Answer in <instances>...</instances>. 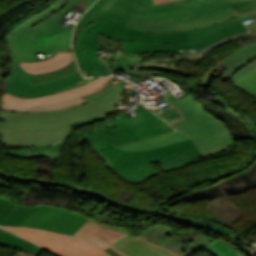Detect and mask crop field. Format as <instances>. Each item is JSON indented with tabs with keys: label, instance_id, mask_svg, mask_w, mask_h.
Segmentation results:
<instances>
[{
	"label": "crop field",
	"instance_id": "8a807250",
	"mask_svg": "<svg viewBox=\"0 0 256 256\" xmlns=\"http://www.w3.org/2000/svg\"><path fill=\"white\" fill-rule=\"evenodd\" d=\"M124 89L109 85L86 97L89 103L51 113H8L0 110V142L17 146H36L58 141L72 131L73 125L116 113L114 107L124 97Z\"/></svg>",
	"mask_w": 256,
	"mask_h": 256
},
{
	"label": "crop field",
	"instance_id": "ac0d7876",
	"mask_svg": "<svg viewBox=\"0 0 256 256\" xmlns=\"http://www.w3.org/2000/svg\"><path fill=\"white\" fill-rule=\"evenodd\" d=\"M93 30L110 38L122 40V48L125 53H141L153 51L178 52L179 49L191 48L199 50L226 36L246 31L247 29L239 18H235L201 29L164 34H150L133 28H128L111 17Z\"/></svg>",
	"mask_w": 256,
	"mask_h": 256
},
{
	"label": "crop field",
	"instance_id": "34b2d1b8",
	"mask_svg": "<svg viewBox=\"0 0 256 256\" xmlns=\"http://www.w3.org/2000/svg\"><path fill=\"white\" fill-rule=\"evenodd\" d=\"M103 152L118 159L111 170L133 183L143 182L148 177L158 174L150 163L160 161L166 172L204 160L192 140L151 150L128 152L113 148Z\"/></svg>",
	"mask_w": 256,
	"mask_h": 256
},
{
	"label": "crop field",
	"instance_id": "412701ff",
	"mask_svg": "<svg viewBox=\"0 0 256 256\" xmlns=\"http://www.w3.org/2000/svg\"><path fill=\"white\" fill-rule=\"evenodd\" d=\"M168 104L183 117L169 124L187 133L199 148L202 156L222 152L232 145L233 139L228 127L217 120L192 96Z\"/></svg>",
	"mask_w": 256,
	"mask_h": 256
},
{
	"label": "crop field",
	"instance_id": "f4fd0767",
	"mask_svg": "<svg viewBox=\"0 0 256 256\" xmlns=\"http://www.w3.org/2000/svg\"><path fill=\"white\" fill-rule=\"evenodd\" d=\"M95 1L69 0L61 11L24 32L18 39L20 62L37 61L34 54L39 52L67 50L70 47L72 29L57 25L58 19L77 7L87 10Z\"/></svg>",
	"mask_w": 256,
	"mask_h": 256
},
{
	"label": "crop field",
	"instance_id": "dd49c442",
	"mask_svg": "<svg viewBox=\"0 0 256 256\" xmlns=\"http://www.w3.org/2000/svg\"><path fill=\"white\" fill-rule=\"evenodd\" d=\"M135 15L153 20H183L217 12L229 5L225 0H182L155 5L149 0H105Z\"/></svg>",
	"mask_w": 256,
	"mask_h": 256
},
{
	"label": "crop field",
	"instance_id": "e52e79f7",
	"mask_svg": "<svg viewBox=\"0 0 256 256\" xmlns=\"http://www.w3.org/2000/svg\"><path fill=\"white\" fill-rule=\"evenodd\" d=\"M140 118H142L146 123L153 127L161 135L152 138L142 140L123 120L110 119L117 132L118 144L120 149L135 151L150 149L158 146H163L175 142H180L190 139L188 136L181 132L175 131L168 124L162 121L155 114L142 106L140 108L134 109Z\"/></svg>",
	"mask_w": 256,
	"mask_h": 256
},
{
	"label": "crop field",
	"instance_id": "d8731c3e",
	"mask_svg": "<svg viewBox=\"0 0 256 256\" xmlns=\"http://www.w3.org/2000/svg\"><path fill=\"white\" fill-rule=\"evenodd\" d=\"M0 227L39 244L57 256H109L98 247L79 238L33 228Z\"/></svg>",
	"mask_w": 256,
	"mask_h": 256
},
{
	"label": "crop field",
	"instance_id": "5a996713",
	"mask_svg": "<svg viewBox=\"0 0 256 256\" xmlns=\"http://www.w3.org/2000/svg\"><path fill=\"white\" fill-rule=\"evenodd\" d=\"M109 15L96 20L94 23L82 28L77 36L75 45V55L79 65L87 72L88 75L93 74L94 77L101 75H110L107 65L96 56V46L116 45L121 47V41L109 39L91 29L100 25Z\"/></svg>",
	"mask_w": 256,
	"mask_h": 256
},
{
	"label": "crop field",
	"instance_id": "3316defc",
	"mask_svg": "<svg viewBox=\"0 0 256 256\" xmlns=\"http://www.w3.org/2000/svg\"><path fill=\"white\" fill-rule=\"evenodd\" d=\"M31 77L32 75L22 70L18 63H13L6 82L7 92L23 98L45 96L77 87L74 83L84 79L78 72L60 80L30 85Z\"/></svg>",
	"mask_w": 256,
	"mask_h": 256
},
{
	"label": "crop field",
	"instance_id": "28ad6ade",
	"mask_svg": "<svg viewBox=\"0 0 256 256\" xmlns=\"http://www.w3.org/2000/svg\"><path fill=\"white\" fill-rule=\"evenodd\" d=\"M251 35H256V32L249 33ZM249 34H241L237 35L233 38H230L228 40H225L219 44H215L211 46L210 48L203 50L197 54L189 55V56H179V58H189V59H195L200 60L203 59V54L216 49L234 39L249 35ZM256 41V40H255ZM256 58V42L249 43L245 46L240 47L235 52L231 53L230 55L226 56L225 58H221L222 60L216 61L217 63L211 65L208 67V70H210L205 76L203 75L201 78H197L198 80H201L205 83L210 84L212 77L214 75L220 74L223 72V75L221 77V80L227 81L231 78V76L236 73L238 70H240L242 67H244L246 64H248L250 61ZM205 71V72H206Z\"/></svg>",
	"mask_w": 256,
	"mask_h": 256
},
{
	"label": "crop field",
	"instance_id": "d1516ede",
	"mask_svg": "<svg viewBox=\"0 0 256 256\" xmlns=\"http://www.w3.org/2000/svg\"><path fill=\"white\" fill-rule=\"evenodd\" d=\"M88 219L89 217L68 210L40 205L20 226L72 235Z\"/></svg>",
	"mask_w": 256,
	"mask_h": 256
},
{
	"label": "crop field",
	"instance_id": "22f410ed",
	"mask_svg": "<svg viewBox=\"0 0 256 256\" xmlns=\"http://www.w3.org/2000/svg\"><path fill=\"white\" fill-rule=\"evenodd\" d=\"M139 236L149 239L180 256H191L213 242L211 239H207L201 235L196 239H190L178 233L175 234L171 228L162 225L150 227Z\"/></svg>",
	"mask_w": 256,
	"mask_h": 256
},
{
	"label": "crop field",
	"instance_id": "cbeb9de0",
	"mask_svg": "<svg viewBox=\"0 0 256 256\" xmlns=\"http://www.w3.org/2000/svg\"><path fill=\"white\" fill-rule=\"evenodd\" d=\"M73 236L95 243L111 256H131L114 244L132 237L128 232L94 219L88 220Z\"/></svg>",
	"mask_w": 256,
	"mask_h": 256
},
{
	"label": "crop field",
	"instance_id": "5142ce71",
	"mask_svg": "<svg viewBox=\"0 0 256 256\" xmlns=\"http://www.w3.org/2000/svg\"><path fill=\"white\" fill-rule=\"evenodd\" d=\"M110 78L111 77L98 78V79L93 80V81L89 82L88 84L81 86L79 88H74V89H70L68 91L52 94L50 96L33 98V99H23V98L16 97V96L6 93L2 96V100L12 103L14 105H20V106L45 105V104L72 98V97L79 96L84 93L90 92V91L102 86L103 84L107 83Z\"/></svg>",
	"mask_w": 256,
	"mask_h": 256
},
{
	"label": "crop field",
	"instance_id": "d9b57169",
	"mask_svg": "<svg viewBox=\"0 0 256 256\" xmlns=\"http://www.w3.org/2000/svg\"><path fill=\"white\" fill-rule=\"evenodd\" d=\"M85 139L88 140L91 148L105 160L106 167L111 168L116 160L109 158L101 150L118 146L114 125L107 121L78 141Z\"/></svg>",
	"mask_w": 256,
	"mask_h": 256
},
{
	"label": "crop field",
	"instance_id": "733c2abd",
	"mask_svg": "<svg viewBox=\"0 0 256 256\" xmlns=\"http://www.w3.org/2000/svg\"><path fill=\"white\" fill-rule=\"evenodd\" d=\"M96 4L106 7L110 10H113L119 13L121 16L129 19L130 21L125 24L126 26H129V27L145 30L150 33L179 31L176 21L162 22V21L142 19L102 0H97Z\"/></svg>",
	"mask_w": 256,
	"mask_h": 256
},
{
	"label": "crop field",
	"instance_id": "4a817a6b",
	"mask_svg": "<svg viewBox=\"0 0 256 256\" xmlns=\"http://www.w3.org/2000/svg\"><path fill=\"white\" fill-rule=\"evenodd\" d=\"M66 2H67V0H60L54 6H52L50 9L46 10L43 13H39L38 15L34 16L33 18H31L29 20L24 21L22 24H20L14 30H12L11 32L8 33V35L6 36V43L10 50L12 62H19L18 48H17L18 37L27 29L31 28L32 26L36 25L40 21L44 20L45 18H47L50 15L61 10L65 6Z\"/></svg>",
	"mask_w": 256,
	"mask_h": 256
},
{
	"label": "crop field",
	"instance_id": "bc2a9ffb",
	"mask_svg": "<svg viewBox=\"0 0 256 256\" xmlns=\"http://www.w3.org/2000/svg\"><path fill=\"white\" fill-rule=\"evenodd\" d=\"M116 245L133 256H178L139 236L122 241Z\"/></svg>",
	"mask_w": 256,
	"mask_h": 256
},
{
	"label": "crop field",
	"instance_id": "214f88e0",
	"mask_svg": "<svg viewBox=\"0 0 256 256\" xmlns=\"http://www.w3.org/2000/svg\"><path fill=\"white\" fill-rule=\"evenodd\" d=\"M115 78L116 77H112L107 84L103 85L102 87H100L90 93H87L85 95H82V96H79L76 98H72L69 100H65V101H61V102H57V103H53V104H49V105H45V106H40V107H19V106H14L12 104H9V103H6V102H3L0 100V108L14 110L17 112H51V111H55V110H59V109H64V108H68V107H72V106L85 104V103H87V101L84 97L104 89Z\"/></svg>",
	"mask_w": 256,
	"mask_h": 256
},
{
	"label": "crop field",
	"instance_id": "92a150f3",
	"mask_svg": "<svg viewBox=\"0 0 256 256\" xmlns=\"http://www.w3.org/2000/svg\"><path fill=\"white\" fill-rule=\"evenodd\" d=\"M1 196L0 224L19 226L37 207L31 205H16Z\"/></svg>",
	"mask_w": 256,
	"mask_h": 256
},
{
	"label": "crop field",
	"instance_id": "dafd665d",
	"mask_svg": "<svg viewBox=\"0 0 256 256\" xmlns=\"http://www.w3.org/2000/svg\"><path fill=\"white\" fill-rule=\"evenodd\" d=\"M235 17H238V16L236 15V13L233 11L232 8H229L228 10L226 9L217 13L201 16L198 18L190 19V20L177 21V22H178L179 30L182 31V30L201 28L204 26L217 24Z\"/></svg>",
	"mask_w": 256,
	"mask_h": 256
},
{
	"label": "crop field",
	"instance_id": "00972430",
	"mask_svg": "<svg viewBox=\"0 0 256 256\" xmlns=\"http://www.w3.org/2000/svg\"><path fill=\"white\" fill-rule=\"evenodd\" d=\"M66 139L55 142L49 145H44L35 148L29 149H22L16 151H3L4 154L15 156V157H22V158H33V157H47L53 160H59L61 155V148L63 143Z\"/></svg>",
	"mask_w": 256,
	"mask_h": 256
},
{
	"label": "crop field",
	"instance_id": "a9b5d70f",
	"mask_svg": "<svg viewBox=\"0 0 256 256\" xmlns=\"http://www.w3.org/2000/svg\"><path fill=\"white\" fill-rule=\"evenodd\" d=\"M74 58L73 53H57L54 57L42 62L20 63L22 69L29 73H41L65 66Z\"/></svg>",
	"mask_w": 256,
	"mask_h": 256
},
{
	"label": "crop field",
	"instance_id": "4177f3b9",
	"mask_svg": "<svg viewBox=\"0 0 256 256\" xmlns=\"http://www.w3.org/2000/svg\"><path fill=\"white\" fill-rule=\"evenodd\" d=\"M179 61L171 60V56H159L143 61L138 67L166 71L172 73H179L187 78L191 77L193 73H186L176 69Z\"/></svg>",
	"mask_w": 256,
	"mask_h": 256
},
{
	"label": "crop field",
	"instance_id": "730fd06b",
	"mask_svg": "<svg viewBox=\"0 0 256 256\" xmlns=\"http://www.w3.org/2000/svg\"><path fill=\"white\" fill-rule=\"evenodd\" d=\"M0 246L23 249L37 254L44 251V249L2 229H0Z\"/></svg>",
	"mask_w": 256,
	"mask_h": 256
},
{
	"label": "crop field",
	"instance_id": "eef30255",
	"mask_svg": "<svg viewBox=\"0 0 256 256\" xmlns=\"http://www.w3.org/2000/svg\"><path fill=\"white\" fill-rule=\"evenodd\" d=\"M78 71L79 70H78L76 61H75V59H73L68 65H66L65 67H63L59 70L33 75L31 84H36V83H40V82H46V81L63 78L65 76L76 73Z\"/></svg>",
	"mask_w": 256,
	"mask_h": 256
},
{
	"label": "crop field",
	"instance_id": "ae1a2a85",
	"mask_svg": "<svg viewBox=\"0 0 256 256\" xmlns=\"http://www.w3.org/2000/svg\"><path fill=\"white\" fill-rule=\"evenodd\" d=\"M0 176L5 177L7 179H13L15 181L32 182V183H36V184H40V185L46 184V185H52V186H63V187H67L69 189H73V190H75L77 192H81V193H85V194H91V195L98 196L100 198H104L105 201L110 202V203H112L114 205H116L118 203L117 201H113V200L109 199L108 197H106L105 195L100 194V193H98V192H96V191H94L92 189H86V188L79 187V186L73 187V186H70V185L60 184V183H53V182H44V181H38V180L23 179V178H19V177L8 175V174L3 173L1 171H0Z\"/></svg>",
	"mask_w": 256,
	"mask_h": 256
},
{
	"label": "crop field",
	"instance_id": "d3111659",
	"mask_svg": "<svg viewBox=\"0 0 256 256\" xmlns=\"http://www.w3.org/2000/svg\"><path fill=\"white\" fill-rule=\"evenodd\" d=\"M244 21L256 17V0H228Z\"/></svg>",
	"mask_w": 256,
	"mask_h": 256
},
{
	"label": "crop field",
	"instance_id": "750c4746",
	"mask_svg": "<svg viewBox=\"0 0 256 256\" xmlns=\"http://www.w3.org/2000/svg\"><path fill=\"white\" fill-rule=\"evenodd\" d=\"M119 117L123 119L142 139L159 135V133H157L139 117L133 121L123 113L119 115Z\"/></svg>",
	"mask_w": 256,
	"mask_h": 256
},
{
	"label": "crop field",
	"instance_id": "bd1437ed",
	"mask_svg": "<svg viewBox=\"0 0 256 256\" xmlns=\"http://www.w3.org/2000/svg\"><path fill=\"white\" fill-rule=\"evenodd\" d=\"M215 256H236L235 247L225 241L218 240L203 248Z\"/></svg>",
	"mask_w": 256,
	"mask_h": 256
},
{
	"label": "crop field",
	"instance_id": "1d83c4d3",
	"mask_svg": "<svg viewBox=\"0 0 256 256\" xmlns=\"http://www.w3.org/2000/svg\"><path fill=\"white\" fill-rule=\"evenodd\" d=\"M254 75H256V59L234 74L230 80L233 82L234 86L238 87L251 79Z\"/></svg>",
	"mask_w": 256,
	"mask_h": 256
},
{
	"label": "crop field",
	"instance_id": "120bbe31",
	"mask_svg": "<svg viewBox=\"0 0 256 256\" xmlns=\"http://www.w3.org/2000/svg\"><path fill=\"white\" fill-rule=\"evenodd\" d=\"M105 13H102L100 11L94 10L92 8H90L85 15L80 19V21L77 23L76 28L74 30V34H73V49H74V45H75V41H76V36H77V32L84 26L94 22L96 19L104 16Z\"/></svg>",
	"mask_w": 256,
	"mask_h": 256
},
{
	"label": "crop field",
	"instance_id": "d32e631a",
	"mask_svg": "<svg viewBox=\"0 0 256 256\" xmlns=\"http://www.w3.org/2000/svg\"><path fill=\"white\" fill-rule=\"evenodd\" d=\"M238 88L242 89L251 96L256 97V76Z\"/></svg>",
	"mask_w": 256,
	"mask_h": 256
},
{
	"label": "crop field",
	"instance_id": "5866460e",
	"mask_svg": "<svg viewBox=\"0 0 256 256\" xmlns=\"http://www.w3.org/2000/svg\"><path fill=\"white\" fill-rule=\"evenodd\" d=\"M222 99V98H221ZM220 105H222V106H224L225 108H227L229 111H231L232 113H234L236 116H238L241 120H243L242 118H247V117H244V116H241L240 114V112H238L237 110H235V109H233L230 105H228V104H226L225 102H224V100L222 99V102L220 103L218 100H216ZM247 120L249 121V123H251L252 124V127H250V126H248V127H250V129H251V131H252V133L254 134V133H256V125H254L252 122H251V119H248L247 118ZM247 124V123H246Z\"/></svg>",
	"mask_w": 256,
	"mask_h": 256
},
{
	"label": "crop field",
	"instance_id": "028f5c9d",
	"mask_svg": "<svg viewBox=\"0 0 256 256\" xmlns=\"http://www.w3.org/2000/svg\"><path fill=\"white\" fill-rule=\"evenodd\" d=\"M92 8H95V9H97V10L103 11V12H105V13L111 15L112 17L116 18L117 20H119V21H120L121 23H123V24H125L126 22H128V20L124 19V18L121 17L119 14H117V13H115V12H113V11H110V10H108V9H105V8H103V7H101V6H98V5H96V4H94V5L92 6Z\"/></svg>",
	"mask_w": 256,
	"mask_h": 256
},
{
	"label": "crop field",
	"instance_id": "e1f06a70",
	"mask_svg": "<svg viewBox=\"0 0 256 256\" xmlns=\"http://www.w3.org/2000/svg\"><path fill=\"white\" fill-rule=\"evenodd\" d=\"M118 205L123 206V207L130 208V209H134V210H138V211L146 212V213L151 212V210H150V209H145V208H141V207H135V206H131V205H127V204H123V203H121V202H119V203H118Z\"/></svg>",
	"mask_w": 256,
	"mask_h": 256
},
{
	"label": "crop field",
	"instance_id": "0bd39190",
	"mask_svg": "<svg viewBox=\"0 0 256 256\" xmlns=\"http://www.w3.org/2000/svg\"><path fill=\"white\" fill-rule=\"evenodd\" d=\"M139 71H141V70H139ZM141 72L146 73V74H149V75H152V76H153L154 73L162 75V73L152 72V71H141ZM154 75H155V74H154ZM166 77H167V76H166ZM167 78L173 80L174 82L178 81V80H176V79H174V78H171V77H167Z\"/></svg>",
	"mask_w": 256,
	"mask_h": 256
},
{
	"label": "crop field",
	"instance_id": "b80d0937",
	"mask_svg": "<svg viewBox=\"0 0 256 256\" xmlns=\"http://www.w3.org/2000/svg\"><path fill=\"white\" fill-rule=\"evenodd\" d=\"M105 118H106V116L101 117V118L96 119V120H90V121H87V122L81 123V124H79V125L73 126V128L78 127V126H82V125H85V124H88V123H92V122H95V121H98V120H101V119H105Z\"/></svg>",
	"mask_w": 256,
	"mask_h": 256
},
{
	"label": "crop field",
	"instance_id": "c035e120",
	"mask_svg": "<svg viewBox=\"0 0 256 256\" xmlns=\"http://www.w3.org/2000/svg\"><path fill=\"white\" fill-rule=\"evenodd\" d=\"M177 0H154L155 4H163V3H168V2H173Z\"/></svg>",
	"mask_w": 256,
	"mask_h": 256
},
{
	"label": "crop field",
	"instance_id": "c21b1889",
	"mask_svg": "<svg viewBox=\"0 0 256 256\" xmlns=\"http://www.w3.org/2000/svg\"><path fill=\"white\" fill-rule=\"evenodd\" d=\"M162 97H163L166 101H168V102L175 100V98H174L171 94H169V95H164V96H162Z\"/></svg>",
	"mask_w": 256,
	"mask_h": 256
},
{
	"label": "crop field",
	"instance_id": "03da06ac",
	"mask_svg": "<svg viewBox=\"0 0 256 256\" xmlns=\"http://www.w3.org/2000/svg\"><path fill=\"white\" fill-rule=\"evenodd\" d=\"M249 31L256 30V23L250 24L247 26Z\"/></svg>",
	"mask_w": 256,
	"mask_h": 256
},
{
	"label": "crop field",
	"instance_id": "b54c1fbb",
	"mask_svg": "<svg viewBox=\"0 0 256 256\" xmlns=\"http://www.w3.org/2000/svg\"><path fill=\"white\" fill-rule=\"evenodd\" d=\"M254 102H256V99L254 98V100H253Z\"/></svg>",
	"mask_w": 256,
	"mask_h": 256
},
{
	"label": "crop field",
	"instance_id": "5d738f31",
	"mask_svg": "<svg viewBox=\"0 0 256 256\" xmlns=\"http://www.w3.org/2000/svg\"><path fill=\"white\" fill-rule=\"evenodd\" d=\"M151 1H153V0H151Z\"/></svg>",
	"mask_w": 256,
	"mask_h": 256
}]
</instances>
